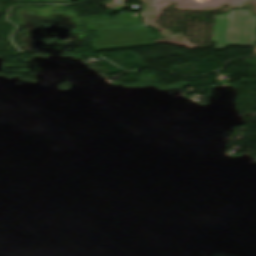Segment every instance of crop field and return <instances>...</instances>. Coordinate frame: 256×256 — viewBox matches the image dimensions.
Returning <instances> with one entry per match:
<instances>
[{"instance_id":"8a807250","label":"crop field","mask_w":256,"mask_h":256,"mask_svg":"<svg viewBox=\"0 0 256 256\" xmlns=\"http://www.w3.org/2000/svg\"><path fill=\"white\" fill-rule=\"evenodd\" d=\"M256 31V16L245 9L233 10L218 15L215 19L212 42L215 49L228 45L253 46Z\"/></svg>"},{"instance_id":"ac0d7876","label":"crop field","mask_w":256,"mask_h":256,"mask_svg":"<svg viewBox=\"0 0 256 256\" xmlns=\"http://www.w3.org/2000/svg\"><path fill=\"white\" fill-rule=\"evenodd\" d=\"M24 1H47V2H62V3L70 2V0H24Z\"/></svg>"}]
</instances>
